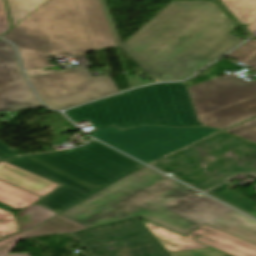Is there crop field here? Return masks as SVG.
Masks as SVG:
<instances>
[{
  "mask_svg": "<svg viewBox=\"0 0 256 256\" xmlns=\"http://www.w3.org/2000/svg\"><path fill=\"white\" fill-rule=\"evenodd\" d=\"M195 192L145 166L62 214L89 227L137 216L183 236L206 224L256 245L255 220Z\"/></svg>",
  "mask_w": 256,
  "mask_h": 256,
  "instance_id": "obj_1",
  "label": "crop field"
},
{
  "mask_svg": "<svg viewBox=\"0 0 256 256\" xmlns=\"http://www.w3.org/2000/svg\"><path fill=\"white\" fill-rule=\"evenodd\" d=\"M118 47L156 81L183 80L243 40L211 1H173L121 44L105 0H101Z\"/></svg>",
  "mask_w": 256,
  "mask_h": 256,
  "instance_id": "obj_2",
  "label": "crop field"
},
{
  "mask_svg": "<svg viewBox=\"0 0 256 256\" xmlns=\"http://www.w3.org/2000/svg\"><path fill=\"white\" fill-rule=\"evenodd\" d=\"M16 155L0 141V159ZM4 161L62 185L37 202L58 213L144 166L95 140L76 149Z\"/></svg>",
  "mask_w": 256,
  "mask_h": 256,
  "instance_id": "obj_3",
  "label": "crop field"
},
{
  "mask_svg": "<svg viewBox=\"0 0 256 256\" xmlns=\"http://www.w3.org/2000/svg\"><path fill=\"white\" fill-rule=\"evenodd\" d=\"M76 123L88 120L97 130L144 125L201 127L186 83L156 84L136 88L70 111Z\"/></svg>",
  "mask_w": 256,
  "mask_h": 256,
  "instance_id": "obj_4",
  "label": "crop field"
},
{
  "mask_svg": "<svg viewBox=\"0 0 256 256\" xmlns=\"http://www.w3.org/2000/svg\"><path fill=\"white\" fill-rule=\"evenodd\" d=\"M14 42L25 70L50 66L46 56L93 50L75 0H50L3 36Z\"/></svg>",
  "mask_w": 256,
  "mask_h": 256,
  "instance_id": "obj_5",
  "label": "crop field"
},
{
  "mask_svg": "<svg viewBox=\"0 0 256 256\" xmlns=\"http://www.w3.org/2000/svg\"><path fill=\"white\" fill-rule=\"evenodd\" d=\"M150 165L205 191L240 173L256 177V143L220 131Z\"/></svg>",
  "mask_w": 256,
  "mask_h": 256,
  "instance_id": "obj_6",
  "label": "crop field"
},
{
  "mask_svg": "<svg viewBox=\"0 0 256 256\" xmlns=\"http://www.w3.org/2000/svg\"><path fill=\"white\" fill-rule=\"evenodd\" d=\"M198 119L225 130L256 117V80L225 75L189 88Z\"/></svg>",
  "mask_w": 256,
  "mask_h": 256,
  "instance_id": "obj_7",
  "label": "crop field"
},
{
  "mask_svg": "<svg viewBox=\"0 0 256 256\" xmlns=\"http://www.w3.org/2000/svg\"><path fill=\"white\" fill-rule=\"evenodd\" d=\"M220 130L214 128H167L144 126L119 131L112 128L92 136L148 164Z\"/></svg>",
  "mask_w": 256,
  "mask_h": 256,
  "instance_id": "obj_8",
  "label": "crop field"
},
{
  "mask_svg": "<svg viewBox=\"0 0 256 256\" xmlns=\"http://www.w3.org/2000/svg\"><path fill=\"white\" fill-rule=\"evenodd\" d=\"M72 234L93 256H171L137 217Z\"/></svg>",
  "mask_w": 256,
  "mask_h": 256,
  "instance_id": "obj_9",
  "label": "crop field"
},
{
  "mask_svg": "<svg viewBox=\"0 0 256 256\" xmlns=\"http://www.w3.org/2000/svg\"><path fill=\"white\" fill-rule=\"evenodd\" d=\"M43 102L66 109L118 92L110 75L93 78L87 68L29 77Z\"/></svg>",
  "mask_w": 256,
  "mask_h": 256,
  "instance_id": "obj_10",
  "label": "crop field"
},
{
  "mask_svg": "<svg viewBox=\"0 0 256 256\" xmlns=\"http://www.w3.org/2000/svg\"><path fill=\"white\" fill-rule=\"evenodd\" d=\"M42 106L19 67L12 44L0 39V112Z\"/></svg>",
  "mask_w": 256,
  "mask_h": 256,
  "instance_id": "obj_11",
  "label": "crop field"
},
{
  "mask_svg": "<svg viewBox=\"0 0 256 256\" xmlns=\"http://www.w3.org/2000/svg\"><path fill=\"white\" fill-rule=\"evenodd\" d=\"M93 49L117 46L100 0H76Z\"/></svg>",
  "mask_w": 256,
  "mask_h": 256,
  "instance_id": "obj_12",
  "label": "crop field"
},
{
  "mask_svg": "<svg viewBox=\"0 0 256 256\" xmlns=\"http://www.w3.org/2000/svg\"><path fill=\"white\" fill-rule=\"evenodd\" d=\"M186 237L214 247L233 256H256V246L248 242L212 229L201 226Z\"/></svg>",
  "mask_w": 256,
  "mask_h": 256,
  "instance_id": "obj_13",
  "label": "crop field"
},
{
  "mask_svg": "<svg viewBox=\"0 0 256 256\" xmlns=\"http://www.w3.org/2000/svg\"><path fill=\"white\" fill-rule=\"evenodd\" d=\"M0 180L42 198L60 186L4 161L0 162Z\"/></svg>",
  "mask_w": 256,
  "mask_h": 256,
  "instance_id": "obj_14",
  "label": "crop field"
},
{
  "mask_svg": "<svg viewBox=\"0 0 256 256\" xmlns=\"http://www.w3.org/2000/svg\"><path fill=\"white\" fill-rule=\"evenodd\" d=\"M82 229H87V227L79 223L73 222L61 215H58L50 219L48 222L38 225L29 231L14 234L6 239L1 240L0 247L14 241H18L22 238L30 237L34 235H41L45 233H59L64 231L73 232V231H78Z\"/></svg>",
  "mask_w": 256,
  "mask_h": 256,
  "instance_id": "obj_15",
  "label": "crop field"
},
{
  "mask_svg": "<svg viewBox=\"0 0 256 256\" xmlns=\"http://www.w3.org/2000/svg\"><path fill=\"white\" fill-rule=\"evenodd\" d=\"M143 223L159 240V242L166 248L168 252L209 248V246L198 243L192 239L183 237L179 234H176L172 231H169L148 221Z\"/></svg>",
  "mask_w": 256,
  "mask_h": 256,
  "instance_id": "obj_16",
  "label": "crop field"
},
{
  "mask_svg": "<svg viewBox=\"0 0 256 256\" xmlns=\"http://www.w3.org/2000/svg\"><path fill=\"white\" fill-rule=\"evenodd\" d=\"M233 187L235 185L227 182L207 193L256 217V202L230 190Z\"/></svg>",
  "mask_w": 256,
  "mask_h": 256,
  "instance_id": "obj_17",
  "label": "crop field"
},
{
  "mask_svg": "<svg viewBox=\"0 0 256 256\" xmlns=\"http://www.w3.org/2000/svg\"><path fill=\"white\" fill-rule=\"evenodd\" d=\"M6 183L0 181V202L20 209L42 199Z\"/></svg>",
  "mask_w": 256,
  "mask_h": 256,
  "instance_id": "obj_18",
  "label": "crop field"
},
{
  "mask_svg": "<svg viewBox=\"0 0 256 256\" xmlns=\"http://www.w3.org/2000/svg\"><path fill=\"white\" fill-rule=\"evenodd\" d=\"M224 6L241 22L250 24L256 20V0H220Z\"/></svg>",
  "mask_w": 256,
  "mask_h": 256,
  "instance_id": "obj_19",
  "label": "crop field"
},
{
  "mask_svg": "<svg viewBox=\"0 0 256 256\" xmlns=\"http://www.w3.org/2000/svg\"><path fill=\"white\" fill-rule=\"evenodd\" d=\"M54 215L56 214L39 205H33L18 212L16 218L21 230L24 231L51 218Z\"/></svg>",
  "mask_w": 256,
  "mask_h": 256,
  "instance_id": "obj_20",
  "label": "crop field"
},
{
  "mask_svg": "<svg viewBox=\"0 0 256 256\" xmlns=\"http://www.w3.org/2000/svg\"><path fill=\"white\" fill-rule=\"evenodd\" d=\"M14 27L48 0H6Z\"/></svg>",
  "mask_w": 256,
  "mask_h": 256,
  "instance_id": "obj_21",
  "label": "crop field"
},
{
  "mask_svg": "<svg viewBox=\"0 0 256 256\" xmlns=\"http://www.w3.org/2000/svg\"><path fill=\"white\" fill-rule=\"evenodd\" d=\"M228 56L242 60L256 68V40L253 39L247 42L245 45L231 52Z\"/></svg>",
  "mask_w": 256,
  "mask_h": 256,
  "instance_id": "obj_22",
  "label": "crop field"
},
{
  "mask_svg": "<svg viewBox=\"0 0 256 256\" xmlns=\"http://www.w3.org/2000/svg\"><path fill=\"white\" fill-rule=\"evenodd\" d=\"M20 231L14 214L0 209V235L6 237Z\"/></svg>",
  "mask_w": 256,
  "mask_h": 256,
  "instance_id": "obj_23",
  "label": "crop field"
},
{
  "mask_svg": "<svg viewBox=\"0 0 256 256\" xmlns=\"http://www.w3.org/2000/svg\"><path fill=\"white\" fill-rule=\"evenodd\" d=\"M225 131L256 142V118Z\"/></svg>",
  "mask_w": 256,
  "mask_h": 256,
  "instance_id": "obj_24",
  "label": "crop field"
},
{
  "mask_svg": "<svg viewBox=\"0 0 256 256\" xmlns=\"http://www.w3.org/2000/svg\"><path fill=\"white\" fill-rule=\"evenodd\" d=\"M74 59L77 61L79 67L69 68L67 70L89 67L90 66L89 62L87 61V59L84 55L75 56ZM61 71H64V70H61ZM50 72H57V71L56 70H54V71H51V70L45 71V70H42V69H38V70H34V71H29V72H26V73H27V76H31V75H37V74L50 73Z\"/></svg>",
  "mask_w": 256,
  "mask_h": 256,
  "instance_id": "obj_25",
  "label": "crop field"
},
{
  "mask_svg": "<svg viewBox=\"0 0 256 256\" xmlns=\"http://www.w3.org/2000/svg\"><path fill=\"white\" fill-rule=\"evenodd\" d=\"M10 29L4 0H0V36Z\"/></svg>",
  "mask_w": 256,
  "mask_h": 256,
  "instance_id": "obj_26",
  "label": "crop field"
},
{
  "mask_svg": "<svg viewBox=\"0 0 256 256\" xmlns=\"http://www.w3.org/2000/svg\"><path fill=\"white\" fill-rule=\"evenodd\" d=\"M15 245L16 243L1 249L0 256H7L11 252V250L14 248Z\"/></svg>",
  "mask_w": 256,
  "mask_h": 256,
  "instance_id": "obj_27",
  "label": "crop field"
},
{
  "mask_svg": "<svg viewBox=\"0 0 256 256\" xmlns=\"http://www.w3.org/2000/svg\"><path fill=\"white\" fill-rule=\"evenodd\" d=\"M246 30L250 33H255L256 32V21L250 24L248 27H246Z\"/></svg>",
  "mask_w": 256,
  "mask_h": 256,
  "instance_id": "obj_28",
  "label": "crop field"
},
{
  "mask_svg": "<svg viewBox=\"0 0 256 256\" xmlns=\"http://www.w3.org/2000/svg\"><path fill=\"white\" fill-rule=\"evenodd\" d=\"M8 256H30L29 253L9 254Z\"/></svg>",
  "mask_w": 256,
  "mask_h": 256,
  "instance_id": "obj_29",
  "label": "crop field"
},
{
  "mask_svg": "<svg viewBox=\"0 0 256 256\" xmlns=\"http://www.w3.org/2000/svg\"><path fill=\"white\" fill-rule=\"evenodd\" d=\"M2 238H4V237H1V236H0V239H2Z\"/></svg>",
  "mask_w": 256,
  "mask_h": 256,
  "instance_id": "obj_30",
  "label": "crop field"
}]
</instances>
